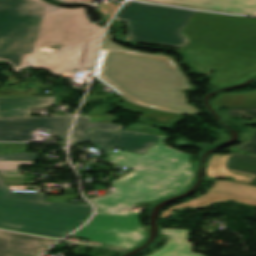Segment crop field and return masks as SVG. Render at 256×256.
<instances>
[{
	"label": "crop field",
	"instance_id": "15",
	"mask_svg": "<svg viewBox=\"0 0 256 256\" xmlns=\"http://www.w3.org/2000/svg\"><path fill=\"white\" fill-rule=\"evenodd\" d=\"M170 236L166 245L151 256H203L191 253L193 244L187 243V230L161 229Z\"/></svg>",
	"mask_w": 256,
	"mask_h": 256
},
{
	"label": "crop field",
	"instance_id": "16",
	"mask_svg": "<svg viewBox=\"0 0 256 256\" xmlns=\"http://www.w3.org/2000/svg\"><path fill=\"white\" fill-rule=\"evenodd\" d=\"M116 118L113 115L83 116L80 117L73 129L71 141H77L90 127L114 132L122 128L120 124H112Z\"/></svg>",
	"mask_w": 256,
	"mask_h": 256
},
{
	"label": "crop field",
	"instance_id": "22",
	"mask_svg": "<svg viewBox=\"0 0 256 256\" xmlns=\"http://www.w3.org/2000/svg\"><path fill=\"white\" fill-rule=\"evenodd\" d=\"M39 155L40 154H34V153L0 155V160L37 161Z\"/></svg>",
	"mask_w": 256,
	"mask_h": 256
},
{
	"label": "crop field",
	"instance_id": "29",
	"mask_svg": "<svg viewBox=\"0 0 256 256\" xmlns=\"http://www.w3.org/2000/svg\"><path fill=\"white\" fill-rule=\"evenodd\" d=\"M7 143H0V154H4Z\"/></svg>",
	"mask_w": 256,
	"mask_h": 256
},
{
	"label": "crop field",
	"instance_id": "1",
	"mask_svg": "<svg viewBox=\"0 0 256 256\" xmlns=\"http://www.w3.org/2000/svg\"><path fill=\"white\" fill-rule=\"evenodd\" d=\"M103 27L90 22L83 8L51 6L44 0H0V60L16 73L26 66L59 75L76 68L92 69ZM43 56L39 49L63 46Z\"/></svg>",
	"mask_w": 256,
	"mask_h": 256
},
{
	"label": "crop field",
	"instance_id": "12",
	"mask_svg": "<svg viewBox=\"0 0 256 256\" xmlns=\"http://www.w3.org/2000/svg\"><path fill=\"white\" fill-rule=\"evenodd\" d=\"M226 13L256 15V0H144Z\"/></svg>",
	"mask_w": 256,
	"mask_h": 256
},
{
	"label": "crop field",
	"instance_id": "26",
	"mask_svg": "<svg viewBox=\"0 0 256 256\" xmlns=\"http://www.w3.org/2000/svg\"><path fill=\"white\" fill-rule=\"evenodd\" d=\"M26 143H8L6 154L25 152Z\"/></svg>",
	"mask_w": 256,
	"mask_h": 256
},
{
	"label": "crop field",
	"instance_id": "4",
	"mask_svg": "<svg viewBox=\"0 0 256 256\" xmlns=\"http://www.w3.org/2000/svg\"><path fill=\"white\" fill-rule=\"evenodd\" d=\"M92 212L86 204L45 202L44 196L11 194L0 176V228L61 238Z\"/></svg>",
	"mask_w": 256,
	"mask_h": 256
},
{
	"label": "crop field",
	"instance_id": "6",
	"mask_svg": "<svg viewBox=\"0 0 256 256\" xmlns=\"http://www.w3.org/2000/svg\"><path fill=\"white\" fill-rule=\"evenodd\" d=\"M183 33L189 46L256 56V20L196 11Z\"/></svg>",
	"mask_w": 256,
	"mask_h": 256
},
{
	"label": "crop field",
	"instance_id": "14",
	"mask_svg": "<svg viewBox=\"0 0 256 256\" xmlns=\"http://www.w3.org/2000/svg\"><path fill=\"white\" fill-rule=\"evenodd\" d=\"M54 104V97L0 99V118L30 117L28 108Z\"/></svg>",
	"mask_w": 256,
	"mask_h": 256
},
{
	"label": "crop field",
	"instance_id": "28",
	"mask_svg": "<svg viewBox=\"0 0 256 256\" xmlns=\"http://www.w3.org/2000/svg\"><path fill=\"white\" fill-rule=\"evenodd\" d=\"M30 137L0 135V141H29Z\"/></svg>",
	"mask_w": 256,
	"mask_h": 256
},
{
	"label": "crop field",
	"instance_id": "5",
	"mask_svg": "<svg viewBox=\"0 0 256 256\" xmlns=\"http://www.w3.org/2000/svg\"><path fill=\"white\" fill-rule=\"evenodd\" d=\"M194 13L193 10L126 2L114 18L125 20L128 41L180 48L190 42L182 30Z\"/></svg>",
	"mask_w": 256,
	"mask_h": 256
},
{
	"label": "crop field",
	"instance_id": "3",
	"mask_svg": "<svg viewBox=\"0 0 256 256\" xmlns=\"http://www.w3.org/2000/svg\"><path fill=\"white\" fill-rule=\"evenodd\" d=\"M94 77L136 106L183 115L199 112L186 104L181 89L194 87L172 57L133 51L106 41Z\"/></svg>",
	"mask_w": 256,
	"mask_h": 256
},
{
	"label": "crop field",
	"instance_id": "10",
	"mask_svg": "<svg viewBox=\"0 0 256 256\" xmlns=\"http://www.w3.org/2000/svg\"><path fill=\"white\" fill-rule=\"evenodd\" d=\"M74 117L0 119V134L31 136L35 129L53 130L65 143L66 134Z\"/></svg>",
	"mask_w": 256,
	"mask_h": 256
},
{
	"label": "crop field",
	"instance_id": "27",
	"mask_svg": "<svg viewBox=\"0 0 256 256\" xmlns=\"http://www.w3.org/2000/svg\"><path fill=\"white\" fill-rule=\"evenodd\" d=\"M30 164L34 165L35 162H13V161H0V169H17V164Z\"/></svg>",
	"mask_w": 256,
	"mask_h": 256
},
{
	"label": "crop field",
	"instance_id": "19",
	"mask_svg": "<svg viewBox=\"0 0 256 256\" xmlns=\"http://www.w3.org/2000/svg\"><path fill=\"white\" fill-rule=\"evenodd\" d=\"M209 191L256 200V186L253 185L216 180Z\"/></svg>",
	"mask_w": 256,
	"mask_h": 256
},
{
	"label": "crop field",
	"instance_id": "18",
	"mask_svg": "<svg viewBox=\"0 0 256 256\" xmlns=\"http://www.w3.org/2000/svg\"><path fill=\"white\" fill-rule=\"evenodd\" d=\"M220 200H235V201H238V202H241L244 204H248V205H256V201H254V200L231 197V196L208 192L196 199L190 200L186 203L176 205L172 208L167 209L166 211H164L162 213L161 218L171 215L174 210H176L180 207H203V206H206L208 204H211V203H214V202H217Z\"/></svg>",
	"mask_w": 256,
	"mask_h": 256
},
{
	"label": "crop field",
	"instance_id": "24",
	"mask_svg": "<svg viewBox=\"0 0 256 256\" xmlns=\"http://www.w3.org/2000/svg\"><path fill=\"white\" fill-rule=\"evenodd\" d=\"M252 93H256V90L248 93H243V94H231V93L221 94L214 98L213 106L214 107H231L229 95H244V94H252Z\"/></svg>",
	"mask_w": 256,
	"mask_h": 256
},
{
	"label": "crop field",
	"instance_id": "7",
	"mask_svg": "<svg viewBox=\"0 0 256 256\" xmlns=\"http://www.w3.org/2000/svg\"><path fill=\"white\" fill-rule=\"evenodd\" d=\"M185 56L193 61L202 73L210 67L215 70V76L209 81L211 86H227L256 75V57L192 47L185 50Z\"/></svg>",
	"mask_w": 256,
	"mask_h": 256
},
{
	"label": "crop field",
	"instance_id": "21",
	"mask_svg": "<svg viewBox=\"0 0 256 256\" xmlns=\"http://www.w3.org/2000/svg\"><path fill=\"white\" fill-rule=\"evenodd\" d=\"M232 107L256 106V94L230 96Z\"/></svg>",
	"mask_w": 256,
	"mask_h": 256
},
{
	"label": "crop field",
	"instance_id": "9",
	"mask_svg": "<svg viewBox=\"0 0 256 256\" xmlns=\"http://www.w3.org/2000/svg\"><path fill=\"white\" fill-rule=\"evenodd\" d=\"M207 176L225 177L236 182L256 185V155L245 153L214 155Z\"/></svg>",
	"mask_w": 256,
	"mask_h": 256
},
{
	"label": "crop field",
	"instance_id": "11",
	"mask_svg": "<svg viewBox=\"0 0 256 256\" xmlns=\"http://www.w3.org/2000/svg\"><path fill=\"white\" fill-rule=\"evenodd\" d=\"M56 241L0 230V256H39Z\"/></svg>",
	"mask_w": 256,
	"mask_h": 256
},
{
	"label": "crop field",
	"instance_id": "20",
	"mask_svg": "<svg viewBox=\"0 0 256 256\" xmlns=\"http://www.w3.org/2000/svg\"><path fill=\"white\" fill-rule=\"evenodd\" d=\"M228 117H247L252 123H256V107L229 108L226 111Z\"/></svg>",
	"mask_w": 256,
	"mask_h": 256
},
{
	"label": "crop field",
	"instance_id": "23",
	"mask_svg": "<svg viewBox=\"0 0 256 256\" xmlns=\"http://www.w3.org/2000/svg\"><path fill=\"white\" fill-rule=\"evenodd\" d=\"M253 136L251 137L250 140L241 143L235 147L223 150V151H227V150H231V149H235L238 148L246 153H250V154H256V129H253Z\"/></svg>",
	"mask_w": 256,
	"mask_h": 256
},
{
	"label": "crop field",
	"instance_id": "2",
	"mask_svg": "<svg viewBox=\"0 0 256 256\" xmlns=\"http://www.w3.org/2000/svg\"><path fill=\"white\" fill-rule=\"evenodd\" d=\"M187 154L178 153L139 168L112 185L117 192L90 200L97 207L93 219L71 237L82 238L132 249L145 242L146 234L139 227L140 213H114L113 209L137 204L153 205L161 199L187 190L195 179V168ZM102 209V211H99Z\"/></svg>",
	"mask_w": 256,
	"mask_h": 256
},
{
	"label": "crop field",
	"instance_id": "17",
	"mask_svg": "<svg viewBox=\"0 0 256 256\" xmlns=\"http://www.w3.org/2000/svg\"><path fill=\"white\" fill-rule=\"evenodd\" d=\"M124 109L144 114L140 119H138L139 121L159 126L168 130L173 128L184 117L181 115L140 109L129 103L124 107Z\"/></svg>",
	"mask_w": 256,
	"mask_h": 256
},
{
	"label": "crop field",
	"instance_id": "25",
	"mask_svg": "<svg viewBox=\"0 0 256 256\" xmlns=\"http://www.w3.org/2000/svg\"><path fill=\"white\" fill-rule=\"evenodd\" d=\"M126 129L136 130V131H144V132H150V133H156V134H162V135L166 134L158 129H154L149 126L138 124V123H134V124L130 125L129 127H127Z\"/></svg>",
	"mask_w": 256,
	"mask_h": 256
},
{
	"label": "crop field",
	"instance_id": "13",
	"mask_svg": "<svg viewBox=\"0 0 256 256\" xmlns=\"http://www.w3.org/2000/svg\"><path fill=\"white\" fill-rule=\"evenodd\" d=\"M167 137L160 139L152 148H150L143 156L125 152L118 151L111 154V162L119 164L126 167H131L136 169L140 166L158 160L160 158L166 157L178 151L161 145Z\"/></svg>",
	"mask_w": 256,
	"mask_h": 256
},
{
	"label": "crop field",
	"instance_id": "8",
	"mask_svg": "<svg viewBox=\"0 0 256 256\" xmlns=\"http://www.w3.org/2000/svg\"><path fill=\"white\" fill-rule=\"evenodd\" d=\"M161 137L162 135L136 132L126 129L120 130L115 134L91 129L75 142L74 145L86 141L94 142V147L104 151L105 156L110 154V147H117L121 150L143 155Z\"/></svg>",
	"mask_w": 256,
	"mask_h": 256
}]
</instances>
